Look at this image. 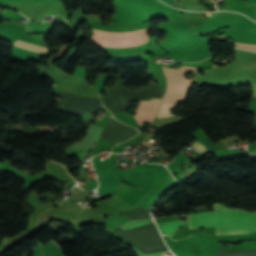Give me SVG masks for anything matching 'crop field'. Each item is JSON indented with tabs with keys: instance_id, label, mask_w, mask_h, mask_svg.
<instances>
[{
	"instance_id": "obj_1",
	"label": "crop field",
	"mask_w": 256,
	"mask_h": 256,
	"mask_svg": "<svg viewBox=\"0 0 256 256\" xmlns=\"http://www.w3.org/2000/svg\"><path fill=\"white\" fill-rule=\"evenodd\" d=\"M214 208L216 211L213 212H198L187 215V225L189 229L223 226L252 214V212L226 208L220 204H215Z\"/></svg>"
},
{
	"instance_id": "obj_2",
	"label": "crop field",
	"mask_w": 256,
	"mask_h": 256,
	"mask_svg": "<svg viewBox=\"0 0 256 256\" xmlns=\"http://www.w3.org/2000/svg\"><path fill=\"white\" fill-rule=\"evenodd\" d=\"M167 77L168 89L163 101L184 102L191 85V80H185L184 75L189 73L176 69H166L163 67Z\"/></svg>"
},
{
	"instance_id": "obj_3",
	"label": "crop field",
	"mask_w": 256,
	"mask_h": 256,
	"mask_svg": "<svg viewBox=\"0 0 256 256\" xmlns=\"http://www.w3.org/2000/svg\"><path fill=\"white\" fill-rule=\"evenodd\" d=\"M256 231V213L223 227L215 228V235L250 234Z\"/></svg>"
},
{
	"instance_id": "obj_4",
	"label": "crop field",
	"mask_w": 256,
	"mask_h": 256,
	"mask_svg": "<svg viewBox=\"0 0 256 256\" xmlns=\"http://www.w3.org/2000/svg\"><path fill=\"white\" fill-rule=\"evenodd\" d=\"M159 99H153L152 101L140 102V106L136 111V116H134L139 123L142 125L144 121H152L159 105Z\"/></svg>"
},
{
	"instance_id": "obj_5",
	"label": "crop field",
	"mask_w": 256,
	"mask_h": 256,
	"mask_svg": "<svg viewBox=\"0 0 256 256\" xmlns=\"http://www.w3.org/2000/svg\"><path fill=\"white\" fill-rule=\"evenodd\" d=\"M162 234L174 235L175 231L181 226L186 225V220L184 221H168L157 224Z\"/></svg>"
},
{
	"instance_id": "obj_6",
	"label": "crop field",
	"mask_w": 256,
	"mask_h": 256,
	"mask_svg": "<svg viewBox=\"0 0 256 256\" xmlns=\"http://www.w3.org/2000/svg\"><path fill=\"white\" fill-rule=\"evenodd\" d=\"M116 119L120 120L121 122L130 125L132 127L139 128V125L135 121L134 117L128 116L127 113H122V114H116L113 115Z\"/></svg>"
},
{
	"instance_id": "obj_7",
	"label": "crop field",
	"mask_w": 256,
	"mask_h": 256,
	"mask_svg": "<svg viewBox=\"0 0 256 256\" xmlns=\"http://www.w3.org/2000/svg\"><path fill=\"white\" fill-rule=\"evenodd\" d=\"M175 105L176 104H171V103H161L156 117L163 118V117H167V116H173L169 112V109L175 107Z\"/></svg>"
},
{
	"instance_id": "obj_8",
	"label": "crop field",
	"mask_w": 256,
	"mask_h": 256,
	"mask_svg": "<svg viewBox=\"0 0 256 256\" xmlns=\"http://www.w3.org/2000/svg\"><path fill=\"white\" fill-rule=\"evenodd\" d=\"M14 45H16V46H18V47L25 48V49L33 50V51H39V52H45V53L48 52V49H47V48L34 46V45H31V44H27V43H24V42H20V41H18V40L14 43Z\"/></svg>"
},
{
	"instance_id": "obj_9",
	"label": "crop field",
	"mask_w": 256,
	"mask_h": 256,
	"mask_svg": "<svg viewBox=\"0 0 256 256\" xmlns=\"http://www.w3.org/2000/svg\"><path fill=\"white\" fill-rule=\"evenodd\" d=\"M152 223H154L153 220L131 221V222L123 225L120 228H122L123 230H126V229H131V228H135V227H138V226H141V225L152 224Z\"/></svg>"
},
{
	"instance_id": "obj_10",
	"label": "crop field",
	"mask_w": 256,
	"mask_h": 256,
	"mask_svg": "<svg viewBox=\"0 0 256 256\" xmlns=\"http://www.w3.org/2000/svg\"><path fill=\"white\" fill-rule=\"evenodd\" d=\"M193 146V148H195L199 154L203 155L206 154L208 152V149L205 148L203 145H201L197 140L191 144Z\"/></svg>"
},
{
	"instance_id": "obj_11",
	"label": "crop field",
	"mask_w": 256,
	"mask_h": 256,
	"mask_svg": "<svg viewBox=\"0 0 256 256\" xmlns=\"http://www.w3.org/2000/svg\"><path fill=\"white\" fill-rule=\"evenodd\" d=\"M235 47L242 48V49H247V50H251V51L256 52V44H244V43L235 42Z\"/></svg>"
},
{
	"instance_id": "obj_12",
	"label": "crop field",
	"mask_w": 256,
	"mask_h": 256,
	"mask_svg": "<svg viewBox=\"0 0 256 256\" xmlns=\"http://www.w3.org/2000/svg\"><path fill=\"white\" fill-rule=\"evenodd\" d=\"M108 76L106 75H99L96 82H95V86L98 88L99 92H101V88L103 83L105 82V80L107 79Z\"/></svg>"
},
{
	"instance_id": "obj_13",
	"label": "crop field",
	"mask_w": 256,
	"mask_h": 256,
	"mask_svg": "<svg viewBox=\"0 0 256 256\" xmlns=\"http://www.w3.org/2000/svg\"><path fill=\"white\" fill-rule=\"evenodd\" d=\"M247 7L256 8V0H248ZM254 20H256V11H255Z\"/></svg>"
},
{
	"instance_id": "obj_14",
	"label": "crop field",
	"mask_w": 256,
	"mask_h": 256,
	"mask_svg": "<svg viewBox=\"0 0 256 256\" xmlns=\"http://www.w3.org/2000/svg\"><path fill=\"white\" fill-rule=\"evenodd\" d=\"M134 250L137 252L138 256H162L161 253H155V254H148V255H144L143 253H141L138 249H136L135 247H133Z\"/></svg>"
}]
</instances>
